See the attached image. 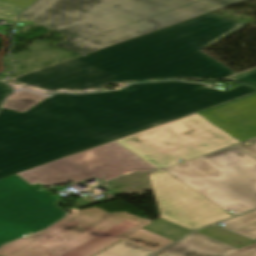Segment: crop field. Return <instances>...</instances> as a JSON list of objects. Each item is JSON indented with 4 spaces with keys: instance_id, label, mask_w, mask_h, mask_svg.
I'll use <instances>...</instances> for the list:
<instances>
[{
    "instance_id": "1",
    "label": "crop field",
    "mask_w": 256,
    "mask_h": 256,
    "mask_svg": "<svg viewBox=\"0 0 256 256\" xmlns=\"http://www.w3.org/2000/svg\"><path fill=\"white\" fill-rule=\"evenodd\" d=\"M205 84H132L114 92L58 94L21 113L0 110V179L255 92Z\"/></svg>"
},
{
    "instance_id": "2",
    "label": "crop field",
    "mask_w": 256,
    "mask_h": 256,
    "mask_svg": "<svg viewBox=\"0 0 256 256\" xmlns=\"http://www.w3.org/2000/svg\"><path fill=\"white\" fill-rule=\"evenodd\" d=\"M242 0H40L21 17L87 54Z\"/></svg>"
},
{
    "instance_id": "3",
    "label": "crop field",
    "mask_w": 256,
    "mask_h": 256,
    "mask_svg": "<svg viewBox=\"0 0 256 256\" xmlns=\"http://www.w3.org/2000/svg\"><path fill=\"white\" fill-rule=\"evenodd\" d=\"M245 25L206 13L77 58L120 75L117 82L223 79L236 73L186 42L206 34L222 39Z\"/></svg>"
},
{
    "instance_id": "4",
    "label": "crop field",
    "mask_w": 256,
    "mask_h": 256,
    "mask_svg": "<svg viewBox=\"0 0 256 256\" xmlns=\"http://www.w3.org/2000/svg\"><path fill=\"white\" fill-rule=\"evenodd\" d=\"M256 136V93L116 140L159 169Z\"/></svg>"
},
{
    "instance_id": "5",
    "label": "crop field",
    "mask_w": 256,
    "mask_h": 256,
    "mask_svg": "<svg viewBox=\"0 0 256 256\" xmlns=\"http://www.w3.org/2000/svg\"><path fill=\"white\" fill-rule=\"evenodd\" d=\"M152 221L97 207L68 215L50 228L0 248L1 256H93L124 239L153 252L173 242L142 226Z\"/></svg>"
},
{
    "instance_id": "6",
    "label": "crop field",
    "mask_w": 256,
    "mask_h": 256,
    "mask_svg": "<svg viewBox=\"0 0 256 256\" xmlns=\"http://www.w3.org/2000/svg\"><path fill=\"white\" fill-rule=\"evenodd\" d=\"M164 170L235 216L256 209V159L234 145Z\"/></svg>"
},
{
    "instance_id": "7",
    "label": "crop field",
    "mask_w": 256,
    "mask_h": 256,
    "mask_svg": "<svg viewBox=\"0 0 256 256\" xmlns=\"http://www.w3.org/2000/svg\"><path fill=\"white\" fill-rule=\"evenodd\" d=\"M131 170H156L115 141L18 173L31 185L74 184L97 177L108 180Z\"/></svg>"
},
{
    "instance_id": "8",
    "label": "crop field",
    "mask_w": 256,
    "mask_h": 256,
    "mask_svg": "<svg viewBox=\"0 0 256 256\" xmlns=\"http://www.w3.org/2000/svg\"><path fill=\"white\" fill-rule=\"evenodd\" d=\"M62 202L40 183L31 186L17 174L0 180V245L35 233L65 213Z\"/></svg>"
},
{
    "instance_id": "9",
    "label": "crop field",
    "mask_w": 256,
    "mask_h": 256,
    "mask_svg": "<svg viewBox=\"0 0 256 256\" xmlns=\"http://www.w3.org/2000/svg\"><path fill=\"white\" fill-rule=\"evenodd\" d=\"M149 176L164 219L195 230L232 217L163 170Z\"/></svg>"
},
{
    "instance_id": "10",
    "label": "crop field",
    "mask_w": 256,
    "mask_h": 256,
    "mask_svg": "<svg viewBox=\"0 0 256 256\" xmlns=\"http://www.w3.org/2000/svg\"><path fill=\"white\" fill-rule=\"evenodd\" d=\"M117 77L112 72L74 58L11 80L46 92L92 91L116 82Z\"/></svg>"
},
{
    "instance_id": "11",
    "label": "crop field",
    "mask_w": 256,
    "mask_h": 256,
    "mask_svg": "<svg viewBox=\"0 0 256 256\" xmlns=\"http://www.w3.org/2000/svg\"><path fill=\"white\" fill-rule=\"evenodd\" d=\"M153 256H256V243L236 249L195 232Z\"/></svg>"
},
{
    "instance_id": "12",
    "label": "crop field",
    "mask_w": 256,
    "mask_h": 256,
    "mask_svg": "<svg viewBox=\"0 0 256 256\" xmlns=\"http://www.w3.org/2000/svg\"><path fill=\"white\" fill-rule=\"evenodd\" d=\"M151 232L160 234L170 240H177L184 235L188 234L192 230L182 227L180 225L174 224L162 218L154 221L153 223L143 227Z\"/></svg>"
},
{
    "instance_id": "13",
    "label": "crop field",
    "mask_w": 256,
    "mask_h": 256,
    "mask_svg": "<svg viewBox=\"0 0 256 256\" xmlns=\"http://www.w3.org/2000/svg\"><path fill=\"white\" fill-rule=\"evenodd\" d=\"M223 223L225 228L256 240V212Z\"/></svg>"
},
{
    "instance_id": "14",
    "label": "crop field",
    "mask_w": 256,
    "mask_h": 256,
    "mask_svg": "<svg viewBox=\"0 0 256 256\" xmlns=\"http://www.w3.org/2000/svg\"><path fill=\"white\" fill-rule=\"evenodd\" d=\"M45 98L42 95L21 90L6 100L3 107L24 112Z\"/></svg>"
},
{
    "instance_id": "15",
    "label": "crop field",
    "mask_w": 256,
    "mask_h": 256,
    "mask_svg": "<svg viewBox=\"0 0 256 256\" xmlns=\"http://www.w3.org/2000/svg\"><path fill=\"white\" fill-rule=\"evenodd\" d=\"M152 253L140 246L122 240L95 256H148Z\"/></svg>"
},
{
    "instance_id": "16",
    "label": "crop field",
    "mask_w": 256,
    "mask_h": 256,
    "mask_svg": "<svg viewBox=\"0 0 256 256\" xmlns=\"http://www.w3.org/2000/svg\"><path fill=\"white\" fill-rule=\"evenodd\" d=\"M198 232H200L202 234H205L207 236H210L212 238H215L217 240H220L222 242H225V243H227L229 245H232L234 247H237V248L255 242V241L244 239L240 236H237L233 233H230L226 230H223V229L215 227V226L207 227V228L202 229Z\"/></svg>"
},
{
    "instance_id": "17",
    "label": "crop field",
    "mask_w": 256,
    "mask_h": 256,
    "mask_svg": "<svg viewBox=\"0 0 256 256\" xmlns=\"http://www.w3.org/2000/svg\"><path fill=\"white\" fill-rule=\"evenodd\" d=\"M226 80L246 83L256 87V69L228 78Z\"/></svg>"
},
{
    "instance_id": "18",
    "label": "crop field",
    "mask_w": 256,
    "mask_h": 256,
    "mask_svg": "<svg viewBox=\"0 0 256 256\" xmlns=\"http://www.w3.org/2000/svg\"><path fill=\"white\" fill-rule=\"evenodd\" d=\"M220 39L214 38L212 36L206 35L204 37L198 38L196 40L190 41L188 42L189 44L193 45L194 47L198 48V49H203L217 41H219Z\"/></svg>"
},
{
    "instance_id": "19",
    "label": "crop field",
    "mask_w": 256,
    "mask_h": 256,
    "mask_svg": "<svg viewBox=\"0 0 256 256\" xmlns=\"http://www.w3.org/2000/svg\"><path fill=\"white\" fill-rule=\"evenodd\" d=\"M235 145L256 158V137Z\"/></svg>"
},
{
    "instance_id": "20",
    "label": "crop field",
    "mask_w": 256,
    "mask_h": 256,
    "mask_svg": "<svg viewBox=\"0 0 256 256\" xmlns=\"http://www.w3.org/2000/svg\"><path fill=\"white\" fill-rule=\"evenodd\" d=\"M4 1L26 9L28 6H30L32 3H34L36 0H4Z\"/></svg>"
},
{
    "instance_id": "21",
    "label": "crop field",
    "mask_w": 256,
    "mask_h": 256,
    "mask_svg": "<svg viewBox=\"0 0 256 256\" xmlns=\"http://www.w3.org/2000/svg\"><path fill=\"white\" fill-rule=\"evenodd\" d=\"M11 92L12 90L9 86L4 83L0 84V104L5 97L10 95Z\"/></svg>"
}]
</instances>
